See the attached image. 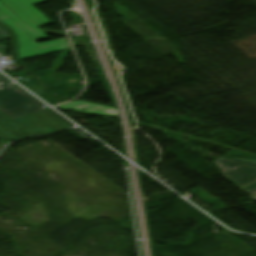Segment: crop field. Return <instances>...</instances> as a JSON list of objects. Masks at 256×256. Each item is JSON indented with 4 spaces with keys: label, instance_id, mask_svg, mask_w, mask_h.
<instances>
[{
    "label": "crop field",
    "instance_id": "obj_5",
    "mask_svg": "<svg viewBox=\"0 0 256 256\" xmlns=\"http://www.w3.org/2000/svg\"><path fill=\"white\" fill-rule=\"evenodd\" d=\"M59 109L63 110H74V111H79L83 113H90V114H101L104 116H117V109L114 107L110 106H103V105H98L86 101H74L72 103H69L67 105L58 107ZM84 108H87L86 111H83Z\"/></svg>",
    "mask_w": 256,
    "mask_h": 256
},
{
    "label": "crop field",
    "instance_id": "obj_3",
    "mask_svg": "<svg viewBox=\"0 0 256 256\" xmlns=\"http://www.w3.org/2000/svg\"><path fill=\"white\" fill-rule=\"evenodd\" d=\"M214 163L230 183L244 188L256 181V160L219 157Z\"/></svg>",
    "mask_w": 256,
    "mask_h": 256
},
{
    "label": "crop field",
    "instance_id": "obj_7",
    "mask_svg": "<svg viewBox=\"0 0 256 256\" xmlns=\"http://www.w3.org/2000/svg\"><path fill=\"white\" fill-rule=\"evenodd\" d=\"M244 190L256 198V182L244 188Z\"/></svg>",
    "mask_w": 256,
    "mask_h": 256
},
{
    "label": "crop field",
    "instance_id": "obj_6",
    "mask_svg": "<svg viewBox=\"0 0 256 256\" xmlns=\"http://www.w3.org/2000/svg\"><path fill=\"white\" fill-rule=\"evenodd\" d=\"M10 38V34L8 30L2 26H0V41Z\"/></svg>",
    "mask_w": 256,
    "mask_h": 256
},
{
    "label": "crop field",
    "instance_id": "obj_4",
    "mask_svg": "<svg viewBox=\"0 0 256 256\" xmlns=\"http://www.w3.org/2000/svg\"><path fill=\"white\" fill-rule=\"evenodd\" d=\"M70 48L66 38L38 44L37 42L14 47L15 61Z\"/></svg>",
    "mask_w": 256,
    "mask_h": 256
},
{
    "label": "crop field",
    "instance_id": "obj_2",
    "mask_svg": "<svg viewBox=\"0 0 256 256\" xmlns=\"http://www.w3.org/2000/svg\"><path fill=\"white\" fill-rule=\"evenodd\" d=\"M28 103L32 106H25ZM40 106H43L40 101L15 85L0 89V111L12 119L44 110Z\"/></svg>",
    "mask_w": 256,
    "mask_h": 256
},
{
    "label": "crop field",
    "instance_id": "obj_1",
    "mask_svg": "<svg viewBox=\"0 0 256 256\" xmlns=\"http://www.w3.org/2000/svg\"><path fill=\"white\" fill-rule=\"evenodd\" d=\"M47 0H0V24L9 27L14 46L48 39L39 28L53 23L33 5Z\"/></svg>",
    "mask_w": 256,
    "mask_h": 256
},
{
    "label": "crop field",
    "instance_id": "obj_8",
    "mask_svg": "<svg viewBox=\"0 0 256 256\" xmlns=\"http://www.w3.org/2000/svg\"><path fill=\"white\" fill-rule=\"evenodd\" d=\"M11 82L9 79H7L5 76H3L2 74H0V86L1 85H4V84H7Z\"/></svg>",
    "mask_w": 256,
    "mask_h": 256
}]
</instances>
